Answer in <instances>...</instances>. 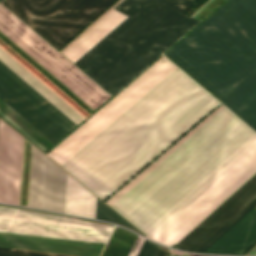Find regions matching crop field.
<instances>
[{
  "label": "crop field",
  "instance_id": "crop-field-22",
  "mask_svg": "<svg viewBox=\"0 0 256 256\" xmlns=\"http://www.w3.org/2000/svg\"><path fill=\"white\" fill-rule=\"evenodd\" d=\"M2 0H0V2H1Z\"/></svg>",
  "mask_w": 256,
  "mask_h": 256
},
{
  "label": "crop field",
  "instance_id": "crop-field-13",
  "mask_svg": "<svg viewBox=\"0 0 256 256\" xmlns=\"http://www.w3.org/2000/svg\"><path fill=\"white\" fill-rule=\"evenodd\" d=\"M256 243V207L204 253L243 255Z\"/></svg>",
  "mask_w": 256,
  "mask_h": 256
},
{
  "label": "crop field",
  "instance_id": "crop-field-15",
  "mask_svg": "<svg viewBox=\"0 0 256 256\" xmlns=\"http://www.w3.org/2000/svg\"><path fill=\"white\" fill-rule=\"evenodd\" d=\"M0 112H1L5 117H7L11 122H13L17 127H19L24 133H26L30 138H32L36 143H38L42 148H44L46 151H47L50 147H52V146L54 145L52 142H50L46 137H44L40 132H38L34 127H32L28 122H26L21 116H19L15 111H13L9 106H7V105H6L3 101H1V100H0ZM1 113H0V114H1ZM2 114H1V115H2ZM1 115H0V117H1L2 119H4L5 117L2 115V116L4 117V118H3ZM7 118H6V119H7ZM6 119H4V120H5L6 122H8L9 120L7 119V120H8V121H7ZM10 121H9V122H10ZM9 122H8V123H9ZM11 122H10V123H11ZM10 123H9V124H10ZM13 123H12V124H13ZM12 124H10V125L13 126L14 124H13V125H12ZM15 125H14V126H15ZM14 126H13V127H14ZM16 126H15V127H16ZM15 127H14V128H15ZM17 127H16V128H17ZM16 128H15V129H16ZM19 128H18V129H19ZM18 129H16V130H18ZM20 129H19V130H20ZM19 130H18V131H19ZM21 130H20V131H21ZM20 131H19V132H20ZM22 131H21V132H22ZM21 132H20V133H21ZM23 132H22V133H23ZM22 133H21V134H22ZM24 133H23V134H24ZM26 134H25V135H26ZM25 135H24V136H25ZM27 135H26V136H27ZM26 136H25V137H26ZM28 136H27V137H28ZM27 137H26V138H27ZM29 137H28V138H29ZM30 138H29V139H30ZM32 139H31V140H32ZM31 140H30V141H31ZM33 140H32V141H33ZM32 141H31V142H32ZM34 141H33V142H34ZM35 142H34V143H35ZM36 143H35V144H36ZM38 144H37V145H38ZM37 145H36V146H37ZM39 145H38V146H39ZM38 146H37V147H38ZM40 146H39V147H40ZM39 147H38V148H39ZM41 147H40V148H41ZM42 148H41V149H42ZM44 149H43V150H44ZM43 150H42V151H43ZM45 150H44V151H45ZM44 151H43V152H44ZM46 151H45V152H46Z\"/></svg>",
  "mask_w": 256,
  "mask_h": 256
},
{
  "label": "crop field",
  "instance_id": "crop-field-7",
  "mask_svg": "<svg viewBox=\"0 0 256 256\" xmlns=\"http://www.w3.org/2000/svg\"><path fill=\"white\" fill-rule=\"evenodd\" d=\"M0 31L94 110L111 97L1 4Z\"/></svg>",
  "mask_w": 256,
  "mask_h": 256
},
{
  "label": "crop field",
  "instance_id": "crop-field-14",
  "mask_svg": "<svg viewBox=\"0 0 256 256\" xmlns=\"http://www.w3.org/2000/svg\"><path fill=\"white\" fill-rule=\"evenodd\" d=\"M96 197L68 174L64 213L94 218Z\"/></svg>",
  "mask_w": 256,
  "mask_h": 256
},
{
  "label": "crop field",
  "instance_id": "crop-field-3",
  "mask_svg": "<svg viewBox=\"0 0 256 256\" xmlns=\"http://www.w3.org/2000/svg\"><path fill=\"white\" fill-rule=\"evenodd\" d=\"M116 3L59 52L66 50ZM195 0H124L62 54L113 95L198 20L183 12ZM196 25V24H195ZM189 31V30H188Z\"/></svg>",
  "mask_w": 256,
  "mask_h": 256
},
{
  "label": "crop field",
  "instance_id": "crop-field-21",
  "mask_svg": "<svg viewBox=\"0 0 256 256\" xmlns=\"http://www.w3.org/2000/svg\"><path fill=\"white\" fill-rule=\"evenodd\" d=\"M175 255H176V254H175ZM175 255L171 253V255H170V256H175ZM177 256H178V255H177Z\"/></svg>",
  "mask_w": 256,
  "mask_h": 256
},
{
  "label": "crop field",
  "instance_id": "crop-field-4",
  "mask_svg": "<svg viewBox=\"0 0 256 256\" xmlns=\"http://www.w3.org/2000/svg\"><path fill=\"white\" fill-rule=\"evenodd\" d=\"M165 55L256 130V0H228Z\"/></svg>",
  "mask_w": 256,
  "mask_h": 256
},
{
  "label": "crop field",
  "instance_id": "crop-field-1",
  "mask_svg": "<svg viewBox=\"0 0 256 256\" xmlns=\"http://www.w3.org/2000/svg\"><path fill=\"white\" fill-rule=\"evenodd\" d=\"M165 58L47 155L65 163L177 68ZM219 103L177 68L62 167L103 201Z\"/></svg>",
  "mask_w": 256,
  "mask_h": 256
},
{
  "label": "crop field",
  "instance_id": "crop-field-11",
  "mask_svg": "<svg viewBox=\"0 0 256 256\" xmlns=\"http://www.w3.org/2000/svg\"><path fill=\"white\" fill-rule=\"evenodd\" d=\"M104 244L0 232V247L76 256H99ZM0 248V256H67Z\"/></svg>",
  "mask_w": 256,
  "mask_h": 256
},
{
  "label": "crop field",
  "instance_id": "crop-field-17",
  "mask_svg": "<svg viewBox=\"0 0 256 256\" xmlns=\"http://www.w3.org/2000/svg\"><path fill=\"white\" fill-rule=\"evenodd\" d=\"M95 218L104 220L107 222H111L114 224L125 226L139 234H141L138 230H136L132 225H130L126 220H124L120 215L102 203L100 200L97 199L96 203V213ZM142 235V234H141ZM144 236V235H143Z\"/></svg>",
  "mask_w": 256,
  "mask_h": 256
},
{
  "label": "crop field",
  "instance_id": "crop-field-16",
  "mask_svg": "<svg viewBox=\"0 0 256 256\" xmlns=\"http://www.w3.org/2000/svg\"><path fill=\"white\" fill-rule=\"evenodd\" d=\"M137 235L116 227L102 256H127Z\"/></svg>",
  "mask_w": 256,
  "mask_h": 256
},
{
  "label": "crop field",
  "instance_id": "crop-field-6",
  "mask_svg": "<svg viewBox=\"0 0 256 256\" xmlns=\"http://www.w3.org/2000/svg\"><path fill=\"white\" fill-rule=\"evenodd\" d=\"M115 0H4L57 50Z\"/></svg>",
  "mask_w": 256,
  "mask_h": 256
},
{
  "label": "crop field",
  "instance_id": "crop-field-10",
  "mask_svg": "<svg viewBox=\"0 0 256 256\" xmlns=\"http://www.w3.org/2000/svg\"><path fill=\"white\" fill-rule=\"evenodd\" d=\"M67 172L33 146L28 206L63 213Z\"/></svg>",
  "mask_w": 256,
  "mask_h": 256
},
{
  "label": "crop field",
  "instance_id": "crop-field-8",
  "mask_svg": "<svg viewBox=\"0 0 256 256\" xmlns=\"http://www.w3.org/2000/svg\"><path fill=\"white\" fill-rule=\"evenodd\" d=\"M112 227L0 207V231L105 243Z\"/></svg>",
  "mask_w": 256,
  "mask_h": 256
},
{
  "label": "crop field",
  "instance_id": "crop-field-12",
  "mask_svg": "<svg viewBox=\"0 0 256 256\" xmlns=\"http://www.w3.org/2000/svg\"><path fill=\"white\" fill-rule=\"evenodd\" d=\"M8 126L0 120V202L18 205L23 137Z\"/></svg>",
  "mask_w": 256,
  "mask_h": 256
},
{
  "label": "crop field",
  "instance_id": "crop-field-19",
  "mask_svg": "<svg viewBox=\"0 0 256 256\" xmlns=\"http://www.w3.org/2000/svg\"><path fill=\"white\" fill-rule=\"evenodd\" d=\"M168 248L160 246L155 256H169Z\"/></svg>",
  "mask_w": 256,
  "mask_h": 256
},
{
  "label": "crop field",
  "instance_id": "crop-field-18",
  "mask_svg": "<svg viewBox=\"0 0 256 256\" xmlns=\"http://www.w3.org/2000/svg\"><path fill=\"white\" fill-rule=\"evenodd\" d=\"M143 241L144 239L138 236L129 256L137 255ZM158 248H159V245H156L145 239L137 256H154Z\"/></svg>",
  "mask_w": 256,
  "mask_h": 256
},
{
  "label": "crop field",
  "instance_id": "crop-field-5",
  "mask_svg": "<svg viewBox=\"0 0 256 256\" xmlns=\"http://www.w3.org/2000/svg\"><path fill=\"white\" fill-rule=\"evenodd\" d=\"M0 60L77 124L85 119L2 48ZM1 61V100L54 144L77 125Z\"/></svg>",
  "mask_w": 256,
  "mask_h": 256
},
{
  "label": "crop field",
  "instance_id": "crop-field-2",
  "mask_svg": "<svg viewBox=\"0 0 256 256\" xmlns=\"http://www.w3.org/2000/svg\"><path fill=\"white\" fill-rule=\"evenodd\" d=\"M222 105L105 203L112 205ZM256 146V133L224 106L111 207L149 238ZM256 172V147L153 240L172 247Z\"/></svg>",
  "mask_w": 256,
  "mask_h": 256
},
{
  "label": "crop field",
  "instance_id": "crop-field-20",
  "mask_svg": "<svg viewBox=\"0 0 256 256\" xmlns=\"http://www.w3.org/2000/svg\"><path fill=\"white\" fill-rule=\"evenodd\" d=\"M246 255L256 256V246L250 252H248Z\"/></svg>",
  "mask_w": 256,
  "mask_h": 256
},
{
  "label": "crop field",
  "instance_id": "crop-field-9",
  "mask_svg": "<svg viewBox=\"0 0 256 256\" xmlns=\"http://www.w3.org/2000/svg\"><path fill=\"white\" fill-rule=\"evenodd\" d=\"M256 205V175L175 248L203 253Z\"/></svg>",
  "mask_w": 256,
  "mask_h": 256
}]
</instances>
